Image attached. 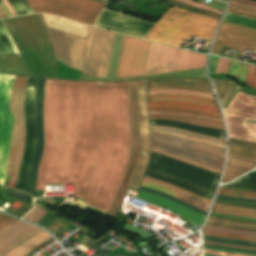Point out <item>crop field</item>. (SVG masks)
<instances>
[{
    "label": "crop field",
    "mask_w": 256,
    "mask_h": 256,
    "mask_svg": "<svg viewBox=\"0 0 256 256\" xmlns=\"http://www.w3.org/2000/svg\"><path fill=\"white\" fill-rule=\"evenodd\" d=\"M246 67L247 64L231 60L228 74L244 82Z\"/></svg>",
    "instance_id": "obj_25"
},
{
    "label": "crop field",
    "mask_w": 256,
    "mask_h": 256,
    "mask_svg": "<svg viewBox=\"0 0 256 256\" xmlns=\"http://www.w3.org/2000/svg\"><path fill=\"white\" fill-rule=\"evenodd\" d=\"M139 189L140 190H144V191H148V192H151V193H155V194L161 195L163 197L169 198L171 200H174V201H176V202H178V203H180V204H182V205H184L186 207H189V208H191V209H193V210H195V211H197V212H199V213H201V214H203L205 216L207 214L206 212L200 211V210H198V209H196V208H194V207H192V206H190V205H188V204H186V203H184V202H182V201H180V200H178V199H176V198H174V197H172L170 195H167V194H164V193H161V192H157V191H153V190H149V189H145V188H141V187Z\"/></svg>",
    "instance_id": "obj_39"
},
{
    "label": "crop field",
    "mask_w": 256,
    "mask_h": 256,
    "mask_svg": "<svg viewBox=\"0 0 256 256\" xmlns=\"http://www.w3.org/2000/svg\"><path fill=\"white\" fill-rule=\"evenodd\" d=\"M151 131L225 149L224 144L216 143L213 141H209V140H205V139H201V138H197V137H192V136L174 133V132H170V131H162V130H154V129H151Z\"/></svg>",
    "instance_id": "obj_23"
},
{
    "label": "crop field",
    "mask_w": 256,
    "mask_h": 256,
    "mask_svg": "<svg viewBox=\"0 0 256 256\" xmlns=\"http://www.w3.org/2000/svg\"><path fill=\"white\" fill-rule=\"evenodd\" d=\"M17 49L53 51L38 14L3 19Z\"/></svg>",
    "instance_id": "obj_6"
},
{
    "label": "crop field",
    "mask_w": 256,
    "mask_h": 256,
    "mask_svg": "<svg viewBox=\"0 0 256 256\" xmlns=\"http://www.w3.org/2000/svg\"><path fill=\"white\" fill-rule=\"evenodd\" d=\"M203 229H205V230H211V231H217V232H224V233H232V234L256 236V233L249 232V231L225 229V228H219V227L208 226V225H206Z\"/></svg>",
    "instance_id": "obj_31"
},
{
    "label": "crop field",
    "mask_w": 256,
    "mask_h": 256,
    "mask_svg": "<svg viewBox=\"0 0 256 256\" xmlns=\"http://www.w3.org/2000/svg\"><path fill=\"white\" fill-rule=\"evenodd\" d=\"M4 3L6 4V6L9 8V10L11 11V13L13 14V16L16 15V13L14 12V10L11 8V6L9 5V3L7 2V0H3Z\"/></svg>",
    "instance_id": "obj_57"
},
{
    "label": "crop field",
    "mask_w": 256,
    "mask_h": 256,
    "mask_svg": "<svg viewBox=\"0 0 256 256\" xmlns=\"http://www.w3.org/2000/svg\"><path fill=\"white\" fill-rule=\"evenodd\" d=\"M163 1H166L172 5H175V6H178V7H181V8H184V9H188V10H191V11H194V12H197V13H201V14H204V15H208V16H211V17H214V18H220V15H217V14H213V13H210V12H206V11H203L201 9H197V8H193V7H190L182 2H178V1H174V0H163Z\"/></svg>",
    "instance_id": "obj_29"
},
{
    "label": "crop field",
    "mask_w": 256,
    "mask_h": 256,
    "mask_svg": "<svg viewBox=\"0 0 256 256\" xmlns=\"http://www.w3.org/2000/svg\"><path fill=\"white\" fill-rule=\"evenodd\" d=\"M27 2L34 12L54 13L92 25L105 5L94 0H36L39 11L35 0H27Z\"/></svg>",
    "instance_id": "obj_8"
},
{
    "label": "crop field",
    "mask_w": 256,
    "mask_h": 256,
    "mask_svg": "<svg viewBox=\"0 0 256 256\" xmlns=\"http://www.w3.org/2000/svg\"><path fill=\"white\" fill-rule=\"evenodd\" d=\"M43 122L34 196L75 183V199L107 213L130 151L128 82L46 79Z\"/></svg>",
    "instance_id": "obj_1"
},
{
    "label": "crop field",
    "mask_w": 256,
    "mask_h": 256,
    "mask_svg": "<svg viewBox=\"0 0 256 256\" xmlns=\"http://www.w3.org/2000/svg\"><path fill=\"white\" fill-rule=\"evenodd\" d=\"M208 222L219 223V224H227V225H233V226H240V227L256 229V225L244 224V223H238V222H231V221H225V220H219V219H213V218H210L208 220Z\"/></svg>",
    "instance_id": "obj_41"
},
{
    "label": "crop field",
    "mask_w": 256,
    "mask_h": 256,
    "mask_svg": "<svg viewBox=\"0 0 256 256\" xmlns=\"http://www.w3.org/2000/svg\"><path fill=\"white\" fill-rule=\"evenodd\" d=\"M98 1L105 2V3L107 2V0H98Z\"/></svg>",
    "instance_id": "obj_63"
},
{
    "label": "crop field",
    "mask_w": 256,
    "mask_h": 256,
    "mask_svg": "<svg viewBox=\"0 0 256 256\" xmlns=\"http://www.w3.org/2000/svg\"><path fill=\"white\" fill-rule=\"evenodd\" d=\"M151 146L177 156L216 168H223L224 159L190 149L192 145L225 153V150L162 134L151 133Z\"/></svg>",
    "instance_id": "obj_10"
},
{
    "label": "crop field",
    "mask_w": 256,
    "mask_h": 256,
    "mask_svg": "<svg viewBox=\"0 0 256 256\" xmlns=\"http://www.w3.org/2000/svg\"><path fill=\"white\" fill-rule=\"evenodd\" d=\"M231 4H235V5H238V6H241V7H245V8L252 9V10H256V7L249 6V5L243 4V3L238 2V1H234V0L231 1Z\"/></svg>",
    "instance_id": "obj_52"
},
{
    "label": "crop field",
    "mask_w": 256,
    "mask_h": 256,
    "mask_svg": "<svg viewBox=\"0 0 256 256\" xmlns=\"http://www.w3.org/2000/svg\"><path fill=\"white\" fill-rule=\"evenodd\" d=\"M136 197L143 201L168 209L198 226H201L205 220V216L161 196L139 190Z\"/></svg>",
    "instance_id": "obj_16"
},
{
    "label": "crop field",
    "mask_w": 256,
    "mask_h": 256,
    "mask_svg": "<svg viewBox=\"0 0 256 256\" xmlns=\"http://www.w3.org/2000/svg\"><path fill=\"white\" fill-rule=\"evenodd\" d=\"M207 224H208V225L219 226V227H225V228L242 229V230H249V231L256 232V230L246 229V228H239V227H233V226H227V225H219V224H211V223H207Z\"/></svg>",
    "instance_id": "obj_51"
},
{
    "label": "crop field",
    "mask_w": 256,
    "mask_h": 256,
    "mask_svg": "<svg viewBox=\"0 0 256 256\" xmlns=\"http://www.w3.org/2000/svg\"><path fill=\"white\" fill-rule=\"evenodd\" d=\"M245 82L256 90V66L248 65Z\"/></svg>",
    "instance_id": "obj_36"
},
{
    "label": "crop field",
    "mask_w": 256,
    "mask_h": 256,
    "mask_svg": "<svg viewBox=\"0 0 256 256\" xmlns=\"http://www.w3.org/2000/svg\"><path fill=\"white\" fill-rule=\"evenodd\" d=\"M228 153L256 160V149L254 148L229 143Z\"/></svg>",
    "instance_id": "obj_24"
},
{
    "label": "crop field",
    "mask_w": 256,
    "mask_h": 256,
    "mask_svg": "<svg viewBox=\"0 0 256 256\" xmlns=\"http://www.w3.org/2000/svg\"><path fill=\"white\" fill-rule=\"evenodd\" d=\"M151 45L150 42L124 35L116 78L145 76ZM206 58L153 43L146 76L202 68Z\"/></svg>",
    "instance_id": "obj_2"
},
{
    "label": "crop field",
    "mask_w": 256,
    "mask_h": 256,
    "mask_svg": "<svg viewBox=\"0 0 256 256\" xmlns=\"http://www.w3.org/2000/svg\"><path fill=\"white\" fill-rule=\"evenodd\" d=\"M215 202L223 203V204H229V205H235V206L256 208L255 204H247V203H240V202L227 201V200H219V199H216Z\"/></svg>",
    "instance_id": "obj_43"
},
{
    "label": "crop field",
    "mask_w": 256,
    "mask_h": 256,
    "mask_svg": "<svg viewBox=\"0 0 256 256\" xmlns=\"http://www.w3.org/2000/svg\"><path fill=\"white\" fill-rule=\"evenodd\" d=\"M225 1V0H224Z\"/></svg>",
    "instance_id": "obj_65"
},
{
    "label": "crop field",
    "mask_w": 256,
    "mask_h": 256,
    "mask_svg": "<svg viewBox=\"0 0 256 256\" xmlns=\"http://www.w3.org/2000/svg\"><path fill=\"white\" fill-rule=\"evenodd\" d=\"M229 142L237 143V144H242V145H246V146H250V147L256 148V144H251V143H246V142H241V141H236V140H231V139H229Z\"/></svg>",
    "instance_id": "obj_55"
},
{
    "label": "crop field",
    "mask_w": 256,
    "mask_h": 256,
    "mask_svg": "<svg viewBox=\"0 0 256 256\" xmlns=\"http://www.w3.org/2000/svg\"><path fill=\"white\" fill-rule=\"evenodd\" d=\"M203 237H204V240H206V241L222 242V243H229V244H237V245H245V246L256 247V242L224 239V238H218V237H212V236H206V235H203Z\"/></svg>",
    "instance_id": "obj_26"
},
{
    "label": "crop field",
    "mask_w": 256,
    "mask_h": 256,
    "mask_svg": "<svg viewBox=\"0 0 256 256\" xmlns=\"http://www.w3.org/2000/svg\"><path fill=\"white\" fill-rule=\"evenodd\" d=\"M218 193L223 194V195H227V196H235V197L256 199V193L230 190V189H225V188H222V187H220Z\"/></svg>",
    "instance_id": "obj_27"
},
{
    "label": "crop field",
    "mask_w": 256,
    "mask_h": 256,
    "mask_svg": "<svg viewBox=\"0 0 256 256\" xmlns=\"http://www.w3.org/2000/svg\"><path fill=\"white\" fill-rule=\"evenodd\" d=\"M208 247H216V248H223V249H230V250H237V251H244V252H251V253H256V250H248V249H239V248H230V247H222V246H213V245H205Z\"/></svg>",
    "instance_id": "obj_48"
},
{
    "label": "crop field",
    "mask_w": 256,
    "mask_h": 256,
    "mask_svg": "<svg viewBox=\"0 0 256 256\" xmlns=\"http://www.w3.org/2000/svg\"><path fill=\"white\" fill-rule=\"evenodd\" d=\"M27 77L15 76L10 101V111L14 117L9 164L7 175L10 181L7 188L13 189L18 176L25 145L24 99Z\"/></svg>",
    "instance_id": "obj_5"
},
{
    "label": "crop field",
    "mask_w": 256,
    "mask_h": 256,
    "mask_svg": "<svg viewBox=\"0 0 256 256\" xmlns=\"http://www.w3.org/2000/svg\"><path fill=\"white\" fill-rule=\"evenodd\" d=\"M213 214V213H211ZM213 215H218V214H213ZM220 216H224V215H220ZM227 217H231V216H227ZM234 218H240V217H234ZM240 219H247V220H254L256 221V219H250V218H240Z\"/></svg>",
    "instance_id": "obj_61"
},
{
    "label": "crop field",
    "mask_w": 256,
    "mask_h": 256,
    "mask_svg": "<svg viewBox=\"0 0 256 256\" xmlns=\"http://www.w3.org/2000/svg\"><path fill=\"white\" fill-rule=\"evenodd\" d=\"M6 17H7V15L3 11V9L0 7V18H6Z\"/></svg>",
    "instance_id": "obj_60"
},
{
    "label": "crop field",
    "mask_w": 256,
    "mask_h": 256,
    "mask_svg": "<svg viewBox=\"0 0 256 256\" xmlns=\"http://www.w3.org/2000/svg\"><path fill=\"white\" fill-rule=\"evenodd\" d=\"M204 256H210V255H206V254H204Z\"/></svg>",
    "instance_id": "obj_64"
},
{
    "label": "crop field",
    "mask_w": 256,
    "mask_h": 256,
    "mask_svg": "<svg viewBox=\"0 0 256 256\" xmlns=\"http://www.w3.org/2000/svg\"><path fill=\"white\" fill-rule=\"evenodd\" d=\"M179 1H182V2H184L186 4L191 5V6L198 7V8H201V9L213 12V13H217V14H220V15L222 14V11H219V10H216V9L208 7V6H204V5L195 3V2H193L191 0H179Z\"/></svg>",
    "instance_id": "obj_42"
},
{
    "label": "crop field",
    "mask_w": 256,
    "mask_h": 256,
    "mask_svg": "<svg viewBox=\"0 0 256 256\" xmlns=\"http://www.w3.org/2000/svg\"><path fill=\"white\" fill-rule=\"evenodd\" d=\"M222 45L256 51V30L223 21L212 52L219 55Z\"/></svg>",
    "instance_id": "obj_13"
},
{
    "label": "crop field",
    "mask_w": 256,
    "mask_h": 256,
    "mask_svg": "<svg viewBox=\"0 0 256 256\" xmlns=\"http://www.w3.org/2000/svg\"><path fill=\"white\" fill-rule=\"evenodd\" d=\"M149 119H169L173 121H183L187 123L224 130L222 122L188 117V116L177 115V114H149Z\"/></svg>",
    "instance_id": "obj_20"
},
{
    "label": "crop field",
    "mask_w": 256,
    "mask_h": 256,
    "mask_svg": "<svg viewBox=\"0 0 256 256\" xmlns=\"http://www.w3.org/2000/svg\"><path fill=\"white\" fill-rule=\"evenodd\" d=\"M217 22L218 19L173 6L158 19L146 39L175 47L183 39L189 41L192 35L210 40Z\"/></svg>",
    "instance_id": "obj_4"
},
{
    "label": "crop field",
    "mask_w": 256,
    "mask_h": 256,
    "mask_svg": "<svg viewBox=\"0 0 256 256\" xmlns=\"http://www.w3.org/2000/svg\"><path fill=\"white\" fill-rule=\"evenodd\" d=\"M211 212L232 216L256 218V209L234 207L216 203H214Z\"/></svg>",
    "instance_id": "obj_22"
},
{
    "label": "crop field",
    "mask_w": 256,
    "mask_h": 256,
    "mask_svg": "<svg viewBox=\"0 0 256 256\" xmlns=\"http://www.w3.org/2000/svg\"><path fill=\"white\" fill-rule=\"evenodd\" d=\"M223 61H224V59L219 57L215 73H218V74L221 73Z\"/></svg>",
    "instance_id": "obj_53"
},
{
    "label": "crop field",
    "mask_w": 256,
    "mask_h": 256,
    "mask_svg": "<svg viewBox=\"0 0 256 256\" xmlns=\"http://www.w3.org/2000/svg\"><path fill=\"white\" fill-rule=\"evenodd\" d=\"M57 218V216H54L50 213H48L42 220H40L38 222V224L46 227L47 225H49L51 222H53L55 219Z\"/></svg>",
    "instance_id": "obj_45"
},
{
    "label": "crop field",
    "mask_w": 256,
    "mask_h": 256,
    "mask_svg": "<svg viewBox=\"0 0 256 256\" xmlns=\"http://www.w3.org/2000/svg\"><path fill=\"white\" fill-rule=\"evenodd\" d=\"M256 166V161L228 154V161L223 177L227 183L234 178L246 173Z\"/></svg>",
    "instance_id": "obj_18"
},
{
    "label": "crop field",
    "mask_w": 256,
    "mask_h": 256,
    "mask_svg": "<svg viewBox=\"0 0 256 256\" xmlns=\"http://www.w3.org/2000/svg\"><path fill=\"white\" fill-rule=\"evenodd\" d=\"M227 11L244 17L256 19V12L252 10L230 5Z\"/></svg>",
    "instance_id": "obj_33"
},
{
    "label": "crop field",
    "mask_w": 256,
    "mask_h": 256,
    "mask_svg": "<svg viewBox=\"0 0 256 256\" xmlns=\"http://www.w3.org/2000/svg\"><path fill=\"white\" fill-rule=\"evenodd\" d=\"M217 56H211L210 58V63H209V73H213L214 72V68L217 62Z\"/></svg>",
    "instance_id": "obj_49"
},
{
    "label": "crop field",
    "mask_w": 256,
    "mask_h": 256,
    "mask_svg": "<svg viewBox=\"0 0 256 256\" xmlns=\"http://www.w3.org/2000/svg\"><path fill=\"white\" fill-rule=\"evenodd\" d=\"M47 213L48 212H46V211L40 209L38 206L34 205V209H32L28 214H26L24 218L37 223Z\"/></svg>",
    "instance_id": "obj_32"
},
{
    "label": "crop field",
    "mask_w": 256,
    "mask_h": 256,
    "mask_svg": "<svg viewBox=\"0 0 256 256\" xmlns=\"http://www.w3.org/2000/svg\"><path fill=\"white\" fill-rule=\"evenodd\" d=\"M8 218H9V217H6V216L0 214V223H1L2 221H4V220L8 219Z\"/></svg>",
    "instance_id": "obj_62"
},
{
    "label": "crop field",
    "mask_w": 256,
    "mask_h": 256,
    "mask_svg": "<svg viewBox=\"0 0 256 256\" xmlns=\"http://www.w3.org/2000/svg\"><path fill=\"white\" fill-rule=\"evenodd\" d=\"M216 198L227 199V200H234V201H241V202H248V203H255L256 204V200H248V199H242V198L226 197V196H222V195H218V194H217Z\"/></svg>",
    "instance_id": "obj_47"
},
{
    "label": "crop field",
    "mask_w": 256,
    "mask_h": 256,
    "mask_svg": "<svg viewBox=\"0 0 256 256\" xmlns=\"http://www.w3.org/2000/svg\"><path fill=\"white\" fill-rule=\"evenodd\" d=\"M203 234L224 237V238H232V239H240V240H248V241H256L254 237H246V236H239V235H232V234H224V233H217L211 231L202 230Z\"/></svg>",
    "instance_id": "obj_35"
},
{
    "label": "crop field",
    "mask_w": 256,
    "mask_h": 256,
    "mask_svg": "<svg viewBox=\"0 0 256 256\" xmlns=\"http://www.w3.org/2000/svg\"><path fill=\"white\" fill-rule=\"evenodd\" d=\"M204 253L216 255V256H248V255L225 253V252H219V251H213V250H207V249H204Z\"/></svg>",
    "instance_id": "obj_46"
},
{
    "label": "crop field",
    "mask_w": 256,
    "mask_h": 256,
    "mask_svg": "<svg viewBox=\"0 0 256 256\" xmlns=\"http://www.w3.org/2000/svg\"><path fill=\"white\" fill-rule=\"evenodd\" d=\"M210 217H213V218H219V219H225V220H231V221H238V222H245V223H254V224H256V222H254V221H247V220L233 219V218L220 217V216H213V215H210Z\"/></svg>",
    "instance_id": "obj_50"
},
{
    "label": "crop field",
    "mask_w": 256,
    "mask_h": 256,
    "mask_svg": "<svg viewBox=\"0 0 256 256\" xmlns=\"http://www.w3.org/2000/svg\"><path fill=\"white\" fill-rule=\"evenodd\" d=\"M206 248V247H204ZM207 249H212V248H207ZM214 250H221V249H214ZM221 251H228V252H235V253H242V254H251V253H244V252H237V251H230V250H221ZM251 255H256V254H251Z\"/></svg>",
    "instance_id": "obj_58"
},
{
    "label": "crop field",
    "mask_w": 256,
    "mask_h": 256,
    "mask_svg": "<svg viewBox=\"0 0 256 256\" xmlns=\"http://www.w3.org/2000/svg\"><path fill=\"white\" fill-rule=\"evenodd\" d=\"M149 113H177V114H183V115H189L194 117H200V118H207V119H214V120H220V118H214V117H208V116H202V115H196V114H190V113H182V112H166V111H149Z\"/></svg>",
    "instance_id": "obj_44"
},
{
    "label": "crop field",
    "mask_w": 256,
    "mask_h": 256,
    "mask_svg": "<svg viewBox=\"0 0 256 256\" xmlns=\"http://www.w3.org/2000/svg\"><path fill=\"white\" fill-rule=\"evenodd\" d=\"M139 85V124H140V154L134 175L128 187L139 188L143 173L150 157V127L147 108V81H138Z\"/></svg>",
    "instance_id": "obj_12"
},
{
    "label": "crop field",
    "mask_w": 256,
    "mask_h": 256,
    "mask_svg": "<svg viewBox=\"0 0 256 256\" xmlns=\"http://www.w3.org/2000/svg\"><path fill=\"white\" fill-rule=\"evenodd\" d=\"M15 221H17V220H14V219L10 218V219H8V220L2 222V223L0 224V229H2V228H4V227H6V226L12 224V223L15 222Z\"/></svg>",
    "instance_id": "obj_56"
},
{
    "label": "crop field",
    "mask_w": 256,
    "mask_h": 256,
    "mask_svg": "<svg viewBox=\"0 0 256 256\" xmlns=\"http://www.w3.org/2000/svg\"><path fill=\"white\" fill-rule=\"evenodd\" d=\"M13 79L12 75L0 74V180H3V187L7 186L9 180L6 176V167L13 118L8 106Z\"/></svg>",
    "instance_id": "obj_11"
},
{
    "label": "crop field",
    "mask_w": 256,
    "mask_h": 256,
    "mask_svg": "<svg viewBox=\"0 0 256 256\" xmlns=\"http://www.w3.org/2000/svg\"><path fill=\"white\" fill-rule=\"evenodd\" d=\"M151 128L170 130V131L179 132V133H183V134H188V135H192V136H197V137H201V138H205V139H209V140H213V141L225 144V140H223V139H219V138H215V137H211V136H206V135H202V134H197V133H192V132L180 130V129H177V128H167V127H163V126H151Z\"/></svg>",
    "instance_id": "obj_28"
},
{
    "label": "crop field",
    "mask_w": 256,
    "mask_h": 256,
    "mask_svg": "<svg viewBox=\"0 0 256 256\" xmlns=\"http://www.w3.org/2000/svg\"><path fill=\"white\" fill-rule=\"evenodd\" d=\"M238 1L256 6V2H252V1H249V0H238Z\"/></svg>",
    "instance_id": "obj_59"
},
{
    "label": "crop field",
    "mask_w": 256,
    "mask_h": 256,
    "mask_svg": "<svg viewBox=\"0 0 256 256\" xmlns=\"http://www.w3.org/2000/svg\"><path fill=\"white\" fill-rule=\"evenodd\" d=\"M228 108L256 115V97L239 91ZM229 109L223 108L229 138L256 143V125L245 123L247 118L256 120V116Z\"/></svg>",
    "instance_id": "obj_7"
},
{
    "label": "crop field",
    "mask_w": 256,
    "mask_h": 256,
    "mask_svg": "<svg viewBox=\"0 0 256 256\" xmlns=\"http://www.w3.org/2000/svg\"><path fill=\"white\" fill-rule=\"evenodd\" d=\"M155 89H184V90H192V91H200V92L212 93L211 89L196 88V87H186V86H159V87L148 88V90H155Z\"/></svg>",
    "instance_id": "obj_37"
},
{
    "label": "crop field",
    "mask_w": 256,
    "mask_h": 256,
    "mask_svg": "<svg viewBox=\"0 0 256 256\" xmlns=\"http://www.w3.org/2000/svg\"><path fill=\"white\" fill-rule=\"evenodd\" d=\"M44 82H45V79L37 78L35 106H34L36 146H35L32 163L30 166L27 182L23 190L24 192H28L30 194L33 193L35 180H36L37 167H38V163L43 150L44 133H43V122H42V109H43Z\"/></svg>",
    "instance_id": "obj_14"
},
{
    "label": "crop field",
    "mask_w": 256,
    "mask_h": 256,
    "mask_svg": "<svg viewBox=\"0 0 256 256\" xmlns=\"http://www.w3.org/2000/svg\"><path fill=\"white\" fill-rule=\"evenodd\" d=\"M157 85H186L210 88L207 79L172 77L148 80V87Z\"/></svg>",
    "instance_id": "obj_21"
},
{
    "label": "crop field",
    "mask_w": 256,
    "mask_h": 256,
    "mask_svg": "<svg viewBox=\"0 0 256 256\" xmlns=\"http://www.w3.org/2000/svg\"><path fill=\"white\" fill-rule=\"evenodd\" d=\"M143 179L149 180V181H153V182H157V183H160V184H163V185H166V186H169V187L174 188V189H176V190H179V191H181V192H183V193H185V194H187V195H189V196H191V197H194V198H196V199H199V200H201V201H204V202H206V203H208V204L210 203V200H207V199H205V198L196 196V195H194V194H192V193H190V192H188V191H185V190L180 189V188H178V187H175V186H172V185H170V184L164 183V182H162V181H159V180H156V179H152V178H149V177H145V176H144Z\"/></svg>",
    "instance_id": "obj_38"
},
{
    "label": "crop field",
    "mask_w": 256,
    "mask_h": 256,
    "mask_svg": "<svg viewBox=\"0 0 256 256\" xmlns=\"http://www.w3.org/2000/svg\"><path fill=\"white\" fill-rule=\"evenodd\" d=\"M151 150L152 151H155V152H158L160 154H163V155H166V156H169V157H172V158H175V159H178V160H181V161H184V162H187V163H191V164H194V165H197L199 167H202L204 169H207V170H210V171H213V172H216V173H221L222 170L220 169H216V168H212V167H208V166H204V165H201V164H198V163H195V162H192V161H189V160H186V159H183V158H180V157H177V156H174L172 154H169V153H166V152H163V151H160V150H157L155 148H152L151 147Z\"/></svg>",
    "instance_id": "obj_34"
},
{
    "label": "crop field",
    "mask_w": 256,
    "mask_h": 256,
    "mask_svg": "<svg viewBox=\"0 0 256 256\" xmlns=\"http://www.w3.org/2000/svg\"><path fill=\"white\" fill-rule=\"evenodd\" d=\"M211 80L214 85L215 91L217 93L218 99L220 101V99L226 89L228 81H221V80H215V79H211Z\"/></svg>",
    "instance_id": "obj_40"
},
{
    "label": "crop field",
    "mask_w": 256,
    "mask_h": 256,
    "mask_svg": "<svg viewBox=\"0 0 256 256\" xmlns=\"http://www.w3.org/2000/svg\"><path fill=\"white\" fill-rule=\"evenodd\" d=\"M141 186L170 194V195H172V196H174V197H176V198H178V199H180L184 202H187V203L203 210V211L207 212V210H208V206H209L208 204H206L204 202H201L199 200H196L194 198H191V197H189V196H187V195H185V194H183L179 191L171 189L169 187H166V186H163V185H160V184H157V183L145 181V180L142 181Z\"/></svg>",
    "instance_id": "obj_19"
},
{
    "label": "crop field",
    "mask_w": 256,
    "mask_h": 256,
    "mask_svg": "<svg viewBox=\"0 0 256 256\" xmlns=\"http://www.w3.org/2000/svg\"><path fill=\"white\" fill-rule=\"evenodd\" d=\"M206 244H213V245H222V246H231V247H239V248H248V249H256V248H251V247H241V246H235V245H229V244H221V243H213V242H206Z\"/></svg>",
    "instance_id": "obj_54"
},
{
    "label": "crop field",
    "mask_w": 256,
    "mask_h": 256,
    "mask_svg": "<svg viewBox=\"0 0 256 256\" xmlns=\"http://www.w3.org/2000/svg\"><path fill=\"white\" fill-rule=\"evenodd\" d=\"M149 110L190 112L214 117H221L215 100L178 94L151 95Z\"/></svg>",
    "instance_id": "obj_9"
},
{
    "label": "crop field",
    "mask_w": 256,
    "mask_h": 256,
    "mask_svg": "<svg viewBox=\"0 0 256 256\" xmlns=\"http://www.w3.org/2000/svg\"><path fill=\"white\" fill-rule=\"evenodd\" d=\"M65 35L69 45V67L106 78L115 33L89 26L87 39Z\"/></svg>",
    "instance_id": "obj_3"
},
{
    "label": "crop field",
    "mask_w": 256,
    "mask_h": 256,
    "mask_svg": "<svg viewBox=\"0 0 256 256\" xmlns=\"http://www.w3.org/2000/svg\"><path fill=\"white\" fill-rule=\"evenodd\" d=\"M148 92H149V94H159V93L190 94V95H197V96H203V97H208V98L214 99L212 94L191 92V91H184V90H156V91H148Z\"/></svg>",
    "instance_id": "obj_30"
},
{
    "label": "crop field",
    "mask_w": 256,
    "mask_h": 256,
    "mask_svg": "<svg viewBox=\"0 0 256 256\" xmlns=\"http://www.w3.org/2000/svg\"><path fill=\"white\" fill-rule=\"evenodd\" d=\"M42 15L47 27L86 38V30L88 27L87 25L76 23L53 15Z\"/></svg>",
    "instance_id": "obj_17"
},
{
    "label": "crop field",
    "mask_w": 256,
    "mask_h": 256,
    "mask_svg": "<svg viewBox=\"0 0 256 256\" xmlns=\"http://www.w3.org/2000/svg\"><path fill=\"white\" fill-rule=\"evenodd\" d=\"M41 229L20 221L0 231V256H3L15 246L28 239Z\"/></svg>",
    "instance_id": "obj_15"
}]
</instances>
